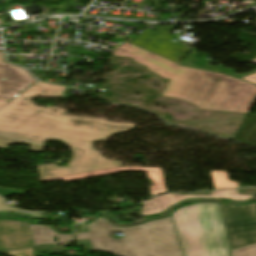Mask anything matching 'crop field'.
Returning <instances> with one entry per match:
<instances>
[{"mask_svg":"<svg viewBox=\"0 0 256 256\" xmlns=\"http://www.w3.org/2000/svg\"><path fill=\"white\" fill-rule=\"evenodd\" d=\"M195 49H192L188 55L179 63V64H183V65H187V66H191V67H195V68H201V69H207V70H213V71H219V72H225L227 74L242 78L246 75H249L253 72H256V69L248 72V73H244V74H240V75H236L234 74L235 70L233 69H225L220 65H210L208 64V61L205 60H196L195 57L197 55V52H195Z\"/></svg>","mask_w":256,"mask_h":256,"instance_id":"crop-field-13","label":"crop field"},{"mask_svg":"<svg viewBox=\"0 0 256 256\" xmlns=\"http://www.w3.org/2000/svg\"><path fill=\"white\" fill-rule=\"evenodd\" d=\"M120 171L147 172L150 180H152V183H153V186L150 188L152 195L154 196V195H158L162 192H167L161 169H151V168H137V167L112 168V169L76 174V175H71V176L41 180V182L55 181V180H63V181L69 182V181L80 180V179H85V178L103 176V175L116 173V172H120Z\"/></svg>","mask_w":256,"mask_h":256,"instance_id":"crop-field-11","label":"crop field"},{"mask_svg":"<svg viewBox=\"0 0 256 256\" xmlns=\"http://www.w3.org/2000/svg\"><path fill=\"white\" fill-rule=\"evenodd\" d=\"M161 96L182 99L201 110L248 113L256 87L217 74L177 67Z\"/></svg>","mask_w":256,"mask_h":256,"instance_id":"crop-field-2","label":"crop field"},{"mask_svg":"<svg viewBox=\"0 0 256 256\" xmlns=\"http://www.w3.org/2000/svg\"><path fill=\"white\" fill-rule=\"evenodd\" d=\"M185 256H229L218 203H196L171 213Z\"/></svg>","mask_w":256,"mask_h":256,"instance_id":"crop-field-4","label":"crop field"},{"mask_svg":"<svg viewBox=\"0 0 256 256\" xmlns=\"http://www.w3.org/2000/svg\"><path fill=\"white\" fill-rule=\"evenodd\" d=\"M175 26H159L155 32L144 30L133 44L178 62L188 49L183 44L170 41L172 36L169 32Z\"/></svg>","mask_w":256,"mask_h":256,"instance_id":"crop-field-6","label":"crop field"},{"mask_svg":"<svg viewBox=\"0 0 256 256\" xmlns=\"http://www.w3.org/2000/svg\"><path fill=\"white\" fill-rule=\"evenodd\" d=\"M6 102L5 101H0V107L2 106V105H4Z\"/></svg>","mask_w":256,"mask_h":256,"instance_id":"crop-field-23","label":"crop field"},{"mask_svg":"<svg viewBox=\"0 0 256 256\" xmlns=\"http://www.w3.org/2000/svg\"><path fill=\"white\" fill-rule=\"evenodd\" d=\"M26 142L30 144L31 150L33 151H42L43 145L38 144L24 136L0 131V147L6 148L10 143H19Z\"/></svg>","mask_w":256,"mask_h":256,"instance_id":"crop-field-14","label":"crop field"},{"mask_svg":"<svg viewBox=\"0 0 256 256\" xmlns=\"http://www.w3.org/2000/svg\"><path fill=\"white\" fill-rule=\"evenodd\" d=\"M54 166H58V165H56V164H51V165H39L38 168L54 167Z\"/></svg>","mask_w":256,"mask_h":256,"instance_id":"crop-field-22","label":"crop field"},{"mask_svg":"<svg viewBox=\"0 0 256 256\" xmlns=\"http://www.w3.org/2000/svg\"><path fill=\"white\" fill-rule=\"evenodd\" d=\"M238 190H225V191H214L211 192V196L200 197V196H180L176 194H166L162 196H157L150 199L145 203L142 208V215H154L163 212L164 210L170 208L172 205L181 202L188 198H224L233 201H241L249 199L253 196L237 195Z\"/></svg>","mask_w":256,"mask_h":256,"instance_id":"crop-field-9","label":"crop field"},{"mask_svg":"<svg viewBox=\"0 0 256 256\" xmlns=\"http://www.w3.org/2000/svg\"><path fill=\"white\" fill-rule=\"evenodd\" d=\"M112 55L131 57L135 62L147 67L149 71L164 78H167L177 67L175 63L137 48L127 42H123Z\"/></svg>","mask_w":256,"mask_h":256,"instance_id":"crop-field-8","label":"crop field"},{"mask_svg":"<svg viewBox=\"0 0 256 256\" xmlns=\"http://www.w3.org/2000/svg\"><path fill=\"white\" fill-rule=\"evenodd\" d=\"M65 87L39 82L10 104L0 109V130L21 133L43 144L61 140L70 146L73 157L67 167L38 169L41 179L112 168L121 165L94 151L92 142L125 131L134 124L107 122L104 119L66 115V110L36 107L32 96L59 97Z\"/></svg>","mask_w":256,"mask_h":256,"instance_id":"crop-field-1","label":"crop field"},{"mask_svg":"<svg viewBox=\"0 0 256 256\" xmlns=\"http://www.w3.org/2000/svg\"><path fill=\"white\" fill-rule=\"evenodd\" d=\"M232 256H256V243L236 249L231 253Z\"/></svg>","mask_w":256,"mask_h":256,"instance_id":"crop-field-16","label":"crop field"},{"mask_svg":"<svg viewBox=\"0 0 256 256\" xmlns=\"http://www.w3.org/2000/svg\"><path fill=\"white\" fill-rule=\"evenodd\" d=\"M83 231L87 232L86 224H85V226L83 227Z\"/></svg>","mask_w":256,"mask_h":256,"instance_id":"crop-field-24","label":"crop field"},{"mask_svg":"<svg viewBox=\"0 0 256 256\" xmlns=\"http://www.w3.org/2000/svg\"><path fill=\"white\" fill-rule=\"evenodd\" d=\"M31 235L35 244L44 243H64L71 239L70 235H60L53 231L50 227L46 226H34L29 223Z\"/></svg>","mask_w":256,"mask_h":256,"instance_id":"crop-field-12","label":"crop field"},{"mask_svg":"<svg viewBox=\"0 0 256 256\" xmlns=\"http://www.w3.org/2000/svg\"><path fill=\"white\" fill-rule=\"evenodd\" d=\"M35 81L25 69L4 62L0 52V100H11Z\"/></svg>","mask_w":256,"mask_h":256,"instance_id":"crop-field-7","label":"crop field"},{"mask_svg":"<svg viewBox=\"0 0 256 256\" xmlns=\"http://www.w3.org/2000/svg\"><path fill=\"white\" fill-rule=\"evenodd\" d=\"M33 245L27 221L0 219V250Z\"/></svg>","mask_w":256,"mask_h":256,"instance_id":"crop-field-10","label":"crop field"},{"mask_svg":"<svg viewBox=\"0 0 256 256\" xmlns=\"http://www.w3.org/2000/svg\"><path fill=\"white\" fill-rule=\"evenodd\" d=\"M1 1V0H0Z\"/></svg>","mask_w":256,"mask_h":256,"instance_id":"crop-field-26","label":"crop field"},{"mask_svg":"<svg viewBox=\"0 0 256 256\" xmlns=\"http://www.w3.org/2000/svg\"><path fill=\"white\" fill-rule=\"evenodd\" d=\"M21 193H23V192L0 188V195L3 197L11 195V194H21Z\"/></svg>","mask_w":256,"mask_h":256,"instance_id":"crop-field-19","label":"crop field"},{"mask_svg":"<svg viewBox=\"0 0 256 256\" xmlns=\"http://www.w3.org/2000/svg\"><path fill=\"white\" fill-rule=\"evenodd\" d=\"M75 238L76 240L90 239L89 234L85 232H76Z\"/></svg>","mask_w":256,"mask_h":256,"instance_id":"crop-field-20","label":"crop field"},{"mask_svg":"<svg viewBox=\"0 0 256 256\" xmlns=\"http://www.w3.org/2000/svg\"><path fill=\"white\" fill-rule=\"evenodd\" d=\"M230 250L256 242V203H219Z\"/></svg>","mask_w":256,"mask_h":256,"instance_id":"crop-field-5","label":"crop field"},{"mask_svg":"<svg viewBox=\"0 0 256 256\" xmlns=\"http://www.w3.org/2000/svg\"><path fill=\"white\" fill-rule=\"evenodd\" d=\"M4 202H3L2 198H0V213L15 212V213L25 214V215L32 216V217L39 218V219L42 218L43 213H27V212L17 211L15 209L7 206Z\"/></svg>","mask_w":256,"mask_h":256,"instance_id":"crop-field-17","label":"crop field"},{"mask_svg":"<svg viewBox=\"0 0 256 256\" xmlns=\"http://www.w3.org/2000/svg\"><path fill=\"white\" fill-rule=\"evenodd\" d=\"M242 79H245V80L251 81L253 83H256V73H253V74H251L249 76H246Z\"/></svg>","mask_w":256,"mask_h":256,"instance_id":"crop-field-21","label":"crop field"},{"mask_svg":"<svg viewBox=\"0 0 256 256\" xmlns=\"http://www.w3.org/2000/svg\"><path fill=\"white\" fill-rule=\"evenodd\" d=\"M170 216L134 227L114 226L100 217L88 223L91 239H109L110 231L123 232L124 238L90 241L91 250L114 256H183Z\"/></svg>","mask_w":256,"mask_h":256,"instance_id":"crop-field-3","label":"crop field"},{"mask_svg":"<svg viewBox=\"0 0 256 256\" xmlns=\"http://www.w3.org/2000/svg\"><path fill=\"white\" fill-rule=\"evenodd\" d=\"M6 253L13 255V256H33L32 247L22 249V250H17V251H10V252H6Z\"/></svg>","mask_w":256,"mask_h":256,"instance_id":"crop-field-18","label":"crop field"},{"mask_svg":"<svg viewBox=\"0 0 256 256\" xmlns=\"http://www.w3.org/2000/svg\"><path fill=\"white\" fill-rule=\"evenodd\" d=\"M252 64H256V60H254L253 62H251Z\"/></svg>","mask_w":256,"mask_h":256,"instance_id":"crop-field-25","label":"crop field"},{"mask_svg":"<svg viewBox=\"0 0 256 256\" xmlns=\"http://www.w3.org/2000/svg\"><path fill=\"white\" fill-rule=\"evenodd\" d=\"M215 189L239 187L238 183L228 180L226 172L212 171Z\"/></svg>","mask_w":256,"mask_h":256,"instance_id":"crop-field-15","label":"crop field"}]
</instances>
